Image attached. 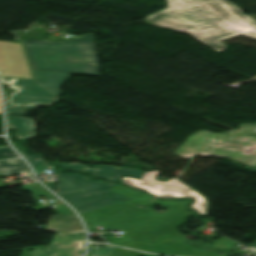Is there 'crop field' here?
<instances>
[{"label": "crop field", "mask_w": 256, "mask_h": 256, "mask_svg": "<svg viewBox=\"0 0 256 256\" xmlns=\"http://www.w3.org/2000/svg\"><path fill=\"white\" fill-rule=\"evenodd\" d=\"M121 179L124 181L121 183H125L129 186H133L144 191H147L157 197L160 198H169V197H191L194 199L193 203L189 206L190 208L196 210L201 215L204 214L205 209V200L203 197L198 195L195 191H185L173 187H168L160 184H155L143 180H138L130 177L123 176Z\"/></svg>", "instance_id": "9"}, {"label": "crop field", "mask_w": 256, "mask_h": 256, "mask_svg": "<svg viewBox=\"0 0 256 256\" xmlns=\"http://www.w3.org/2000/svg\"><path fill=\"white\" fill-rule=\"evenodd\" d=\"M242 35H246V36H249V37H252V38H256V27L253 28L252 30L242 34Z\"/></svg>", "instance_id": "22"}, {"label": "crop field", "mask_w": 256, "mask_h": 256, "mask_svg": "<svg viewBox=\"0 0 256 256\" xmlns=\"http://www.w3.org/2000/svg\"><path fill=\"white\" fill-rule=\"evenodd\" d=\"M119 245L147 252L173 256H225L224 254H217L213 252H201L194 247L188 246L182 240L172 238H164L160 243L130 242Z\"/></svg>", "instance_id": "8"}, {"label": "crop field", "mask_w": 256, "mask_h": 256, "mask_svg": "<svg viewBox=\"0 0 256 256\" xmlns=\"http://www.w3.org/2000/svg\"><path fill=\"white\" fill-rule=\"evenodd\" d=\"M110 192H114V193H117V194H121V195H124V196H127V197H131V198H138V199H142V200H146V201H149L150 199H152L151 197H149L148 195L146 194H143V193H139V192H136L132 189H129L127 187H124V186H121V185H118L116 184L111 190ZM150 202H156V203H163V204H169V205H172L174 207H178L180 209H182L185 214L188 216L191 214L190 211H186L184 210L182 207L184 206V204L186 202H188V200L186 201H170V200H166V201H158V200H152ZM183 212V213H184Z\"/></svg>", "instance_id": "13"}, {"label": "crop field", "mask_w": 256, "mask_h": 256, "mask_svg": "<svg viewBox=\"0 0 256 256\" xmlns=\"http://www.w3.org/2000/svg\"><path fill=\"white\" fill-rule=\"evenodd\" d=\"M173 30L188 33L220 52L221 39L242 34L256 22L228 0H167Z\"/></svg>", "instance_id": "1"}, {"label": "crop field", "mask_w": 256, "mask_h": 256, "mask_svg": "<svg viewBox=\"0 0 256 256\" xmlns=\"http://www.w3.org/2000/svg\"><path fill=\"white\" fill-rule=\"evenodd\" d=\"M249 248L256 252V241Z\"/></svg>", "instance_id": "24"}, {"label": "crop field", "mask_w": 256, "mask_h": 256, "mask_svg": "<svg viewBox=\"0 0 256 256\" xmlns=\"http://www.w3.org/2000/svg\"><path fill=\"white\" fill-rule=\"evenodd\" d=\"M114 246H90L86 256H110Z\"/></svg>", "instance_id": "18"}, {"label": "crop field", "mask_w": 256, "mask_h": 256, "mask_svg": "<svg viewBox=\"0 0 256 256\" xmlns=\"http://www.w3.org/2000/svg\"><path fill=\"white\" fill-rule=\"evenodd\" d=\"M0 172L4 175L8 174H14V173H20L24 172L28 177L33 176L27 165L24 166H18V167H13V168H8V169H2Z\"/></svg>", "instance_id": "19"}, {"label": "crop field", "mask_w": 256, "mask_h": 256, "mask_svg": "<svg viewBox=\"0 0 256 256\" xmlns=\"http://www.w3.org/2000/svg\"><path fill=\"white\" fill-rule=\"evenodd\" d=\"M145 20L152 25L171 28L166 8L146 17Z\"/></svg>", "instance_id": "15"}, {"label": "crop field", "mask_w": 256, "mask_h": 256, "mask_svg": "<svg viewBox=\"0 0 256 256\" xmlns=\"http://www.w3.org/2000/svg\"><path fill=\"white\" fill-rule=\"evenodd\" d=\"M254 125L241 123L238 130L231 129L225 133L195 132L174 153L185 158L194 154L228 157L256 168V136L251 135Z\"/></svg>", "instance_id": "4"}, {"label": "crop field", "mask_w": 256, "mask_h": 256, "mask_svg": "<svg viewBox=\"0 0 256 256\" xmlns=\"http://www.w3.org/2000/svg\"><path fill=\"white\" fill-rule=\"evenodd\" d=\"M48 188H50L51 190L55 191L56 190V183L54 184H50V185H46Z\"/></svg>", "instance_id": "23"}, {"label": "crop field", "mask_w": 256, "mask_h": 256, "mask_svg": "<svg viewBox=\"0 0 256 256\" xmlns=\"http://www.w3.org/2000/svg\"><path fill=\"white\" fill-rule=\"evenodd\" d=\"M253 133H256V125H255V128H254V131H253Z\"/></svg>", "instance_id": "25"}, {"label": "crop field", "mask_w": 256, "mask_h": 256, "mask_svg": "<svg viewBox=\"0 0 256 256\" xmlns=\"http://www.w3.org/2000/svg\"><path fill=\"white\" fill-rule=\"evenodd\" d=\"M140 204L152 203L135 199L83 213L82 216L88 227L100 224L111 229L119 226L133 240L158 241L163 236L183 238L176 229L187 217L183 211L176 208L159 216L149 209L137 207Z\"/></svg>", "instance_id": "2"}, {"label": "crop field", "mask_w": 256, "mask_h": 256, "mask_svg": "<svg viewBox=\"0 0 256 256\" xmlns=\"http://www.w3.org/2000/svg\"><path fill=\"white\" fill-rule=\"evenodd\" d=\"M157 173H158L157 171L145 172L142 179L147 180V181H151V182H155V183H160V184H164V185H168V186H173V187L189 190V188H187L186 186H184L183 184L178 182L175 178L170 180V181H167V182H159V181L154 180V175L157 174Z\"/></svg>", "instance_id": "16"}, {"label": "crop field", "mask_w": 256, "mask_h": 256, "mask_svg": "<svg viewBox=\"0 0 256 256\" xmlns=\"http://www.w3.org/2000/svg\"><path fill=\"white\" fill-rule=\"evenodd\" d=\"M60 165V167L70 168L79 172H83L89 175L105 178L112 181H119V179L123 176H130L134 178L141 179L142 175L145 171H141L139 169H131V168H118L117 166H109V165H93L92 168L85 167L86 165L92 164H77V163H56Z\"/></svg>", "instance_id": "10"}, {"label": "crop field", "mask_w": 256, "mask_h": 256, "mask_svg": "<svg viewBox=\"0 0 256 256\" xmlns=\"http://www.w3.org/2000/svg\"><path fill=\"white\" fill-rule=\"evenodd\" d=\"M34 78L45 88L50 90L56 96H61L64 94L58 89L64 84V82L70 77L65 74H55V73H46V72H36L32 71Z\"/></svg>", "instance_id": "12"}, {"label": "crop field", "mask_w": 256, "mask_h": 256, "mask_svg": "<svg viewBox=\"0 0 256 256\" xmlns=\"http://www.w3.org/2000/svg\"><path fill=\"white\" fill-rule=\"evenodd\" d=\"M20 153L35 167L37 174L45 173L43 170L53 168L51 165H45V162L37 158L36 156L25 155L22 151Z\"/></svg>", "instance_id": "17"}, {"label": "crop field", "mask_w": 256, "mask_h": 256, "mask_svg": "<svg viewBox=\"0 0 256 256\" xmlns=\"http://www.w3.org/2000/svg\"><path fill=\"white\" fill-rule=\"evenodd\" d=\"M9 128L17 129L15 133L19 139L35 136L33 120L18 116H8Z\"/></svg>", "instance_id": "14"}, {"label": "crop field", "mask_w": 256, "mask_h": 256, "mask_svg": "<svg viewBox=\"0 0 256 256\" xmlns=\"http://www.w3.org/2000/svg\"><path fill=\"white\" fill-rule=\"evenodd\" d=\"M22 41L32 70L100 76L92 34L59 41Z\"/></svg>", "instance_id": "3"}, {"label": "crop field", "mask_w": 256, "mask_h": 256, "mask_svg": "<svg viewBox=\"0 0 256 256\" xmlns=\"http://www.w3.org/2000/svg\"><path fill=\"white\" fill-rule=\"evenodd\" d=\"M58 175V193L79 213L104 206L132 200L121 195L108 192L113 184L92 181L80 174L60 173ZM62 176V178H59Z\"/></svg>", "instance_id": "5"}, {"label": "crop field", "mask_w": 256, "mask_h": 256, "mask_svg": "<svg viewBox=\"0 0 256 256\" xmlns=\"http://www.w3.org/2000/svg\"><path fill=\"white\" fill-rule=\"evenodd\" d=\"M17 156L9 147L0 148V159Z\"/></svg>", "instance_id": "21"}, {"label": "crop field", "mask_w": 256, "mask_h": 256, "mask_svg": "<svg viewBox=\"0 0 256 256\" xmlns=\"http://www.w3.org/2000/svg\"><path fill=\"white\" fill-rule=\"evenodd\" d=\"M25 163L21 158L17 159H11V160H6V161H0V169L2 168H7V167H13V166H18V165H24Z\"/></svg>", "instance_id": "20"}, {"label": "crop field", "mask_w": 256, "mask_h": 256, "mask_svg": "<svg viewBox=\"0 0 256 256\" xmlns=\"http://www.w3.org/2000/svg\"><path fill=\"white\" fill-rule=\"evenodd\" d=\"M0 105H1V100H0Z\"/></svg>", "instance_id": "26"}, {"label": "crop field", "mask_w": 256, "mask_h": 256, "mask_svg": "<svg viewBox=\"0 0 256 256\" xmlns=\"http://www.w3.org/2000/svg\"><path fill=\"white\" fill-rule=\"evenodd\" d=\"M45 230L66 231V232H84L83 227L77 216H56L52 215Z\"/></svg>", "instance_id": "11"}, {"label": "crop field", "mask_w": 256, "mask_h": 256, "mask_svg": "<svg viewBox=\"0 0 256 256\" xmlns=\"http://www.w3.org/2000/svg\"><path fill=\"white\" fill-rule=\"evenodd\" d=\"M49 246H35L33 251L24 248L21 256H81L84 251V235L78 233H56ZM46 247L47 250H44ZM50 248V249H48Z\"/></svg>", "instance_id": "7"}, {"label": "crop field", "mask_w": 256, "mask_h": 256, "mask_svg": "<svg viewBox=\"0 0 256 256\" xmlns=\"http://www.w3.org/2000/svg\"><path fill=\"white\" fill-rule=\"evenodd\" d=\"M2 83L17 89L8 98V114H26L25 109H36L35 105H51L57 97L34 80L0 77ZM21 106L20 108L16 107Z\"/></svg>", "instance_id": "6"}]
</instances>
